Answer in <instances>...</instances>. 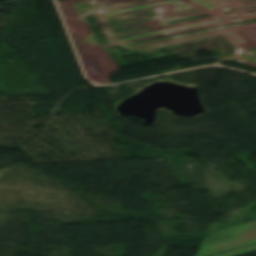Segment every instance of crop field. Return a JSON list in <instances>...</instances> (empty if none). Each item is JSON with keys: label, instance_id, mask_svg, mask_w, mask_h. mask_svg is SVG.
Masks as SVG:
<instances>
[{"label": "crop field", "instance_id": "obj_1", "mask_svg": "<svg viewBox=\"0 0 256 256\" xmlns=\"http://www.w3.org/2000/svg\"><path fill=\"white\" fill-rule=\"evenodd\" d=\"M256 243V222L215 232L206 238L197 256H206Z\"/></svg>", "mask_w": 256, "mask_h": 256}, {"label": "crop field", "instance_id": "obj_2", "mask_svg": "<svg viewBox=\"0 0 256 256\" xmlns=\"http://www.w3.org/2000/svg\"><path fill=\"white\" fill-rule=\"evenodd\" d=\"M255 251H256V245L248 247V248L232 251L229 253L217 255V256H241V255L248 254V253L255 252Z\"/></svg>", "mask_w": 256, "mask_h": 256}]
</instances>
